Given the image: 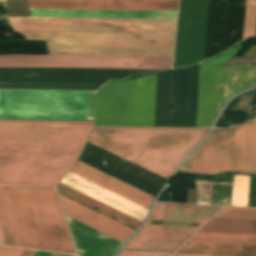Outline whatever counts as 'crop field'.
<instances>
[{"instance_id":"crop-field-1","label":"crop field","mask_w":256,"mask_h":256,"mask_svg":"<svg viewBox=\"0 0 256 256\" xmlns=\"http://www.w3.org/2000/svg\"><path fill=\"white\" fill-rule=\"evenodd\" d=\"M199 66L109 82L96 94V125L195 127ZM256 85V66L200 65L196 127H211L226 98Z\"/></svg>"},{"instance_id":"crop-field-2","label":"crop field","mask_w":256,"mask_h":256,"mask_svg":"<svg viewBox=\"0 0 256 256\" xmlns=\"http://www.w3.org/2000/svg\"><path fill=\"white\" fill-rule=\"evenodd\" d=\"M9 18L50 54L172 56L176 20Z\"/></svg>"},{"instance_id":"crop-field-3","label":"crop field","mask_w":256,"mask_h":256,"mask_svg":"<svg viewBox=\"0 0 256 256\" xmlns=\"http://www.w3.org/2000/svg\"><path fill=\"white\" fill-rule=\"evenodd\" d=\"M92 127L0 123V184L55 186Z\"/></svg>"},{"instance_id":"crop-field-4","label":"crop field","mask_w":256,"mask_h":256,"mask_svg":"<svg viewBox=\"0 0 256 256\" xmlns=\"http://www.w3.org/2000/svg\"><path fill=\"white\" fill-rule=\"evenodd\" d=\"M172 57L0 55V67L171 68ZM162 69L0 68V82L104 84L132 74Z\"/></svg>"},{"instance_id":"crop-field-5","label":"crop field","mask_w":256,"mask_h":256,"mask_svg":"<svg viewBox=\"0 0 256 256\" xmlns=\"http://www.w3.org/2000/svg\"><path fill=\"white\" fill-rule=\"evenodd\" d=\"M207 133L93 129L88 142L166 180Z\"/></svg>"},{"instance_id":"crop-field-6","label":"crop field","mask_w":256,"mask_h":256,"mask_svg":"<svg viewBox=\"0 0 256 256\" xmlns=\"http://www.w3.org/2000/svg\"><path fill=\"white\" fill-rule=\"evenodd\" d=\"M3 187L23 247L76 254L54 188Z\"/></svg>"},{"instance_id":"crop-field-7","label":"crop field","mask_w":256,"mask_h":256,"mask_svg":"<svg viewBox=\"0 0 256 256\" xmlns=\"http://www.w3.org/2000/svg\"><path fill=\"white\" fill-rule=\"evenodd\" d=\"M179 170L211 175L231 171L256 174V119L231 129H214Z\"/></svg>"},{"instance_id":"crop-field-8","label":"crop field","mask_w":256,"mask_h":256,"mask_svg":"<svg viewBox=\"0 0 256 256\" xmlns=\"http://www.w3.org/2000/svg\"><path fill=\"white\" fill-rule=\"evenodd\" d=\"M94 92L0 90V119L93 121Z\"/></svg>"},{"instance_id":"crop-field-9","label":"crop field","mask_w":256,"mask_h":256,"mask_svg":"<svg viewBox=\"0 0 256 256\" xmlns=\"http://www.w3.org/2000/svg\"><path fill=\"white\" fill-rule=\"evenodd\" d=\"M30 8L177 11L178 0H29ZM31 17L176 19L177 12L30 9Z\"/></svg>"},{"instance_id":"crop-field-10","label":"crop field","mask_w":256,"mask_h":256,"mask_svg":"<svg viewBox=\"0 0 256 256\" xmlns=\"http://www.w3.org/2000/svg\"><path fill=\"white\" fill-rule=\"evenodd\" d=\"M208 6L209 0H180L174 68L203 60Z\"/></svg>"},{"instance_id":"crop-field-11","label":"crop field","mask_w":256,"mask_h":256,"mask_svg":"<svg viewBox=\"0 0 256 256\" xmlns=\"http://www.w3.org/2000/svg\"><path fill=\"white\" fill-rule=\"evenodd\" d=\"M218 211L155 206L144 226L199 229Z\"/></svg>"},{"instance_id":"crop-field-12","label":"crop field","mask_w":256,"mask_h":256,"mask_svg":"<svg viewBox=\"0 0 256 256\" xmlns=\"http://www.w3.org/2000/svg\"><path fill=\"white\" fill-rule=\"evenodd\" d=\"M61 183L88 195L114 209H117L141 222H143L147 209L128 201L110 191H107L91 182H88L70 172L62 179Z\"/></svg>"},{"instance_id":"crop-field-13","label":"crop field","mask_w":256,"mask_h":256,"mask_svg":"<svg viewBox=\"0 0 256 256\" xmlns=\"http://www.w3.org/2000/svg\"><path fill=\"white\" fill-rule=\"evenodd\" d=\"M67 219L77 253L81 256H115L122 246V243L68 216Z\"/></svg>"},{"instance_id":"crop-field-14","label":"crop field","mask_w":256,"mask_h":256,"mask_svg":"<svg viewBox=\"0 0 256 256\" xmlns=\"http://www.w3.org/2000/svg\"><path fill=\"white\" fill-rule=\"evenodd\" d=\"M196 231L142 227L125 248L175 251Z\"/></svg>"},{"instance_id":"crop-field-15","label":"crop field","mask_w":256,"mask_h":256,"mask_svg":"<svg viewBox=\"0 0 256 256\" xmlns=\"http://www.w3.org/2000/svg\"><path fill=\"white\" fill-rule=\"evenodd\" d=\"M70 172L89 180L107 190H110L126 199H129L149 209L154 197L135 189L119 180H116L98 170H95L79 161L71 168Z\"/></svg>"},{"instance_id":"crop-field-16","label":"crop field","mask_w":256,"mask_h":256,"mask_svg":"<svg viewBox=\"0 0 256 256\" xmlns=\"http://www.w3.org/2000/svg\"><path fill=\"white\" fill-rule=\"evenodd\" d=\"M60 196V195H59ZM65 213L121 242L130 236L133 230L95 213L79 204L60 196Z\"/></svg>"},{"instance_id":"crop-field-17","label":"crop field","mask_w":256,"mask_h":256,"mask_svg":"<svg viewBox=\"0 0 256 256\" xmlns=\"http://www.w3.org/2000/svg\"><path fill=\"white\" fill-rule=\"evenodd\" d=\"M58 193L76 203H79L95 212H98L114 221H117L133 230L138 228L141 222L114 210L88 196H85L61 183L57 186Z\"/></svg>"},{"instance_id":"crop-field-18","label":"crop field","mask_w":256,"mask_h":256,"mask_svg":"<svg viewBox=\"0 0 256 256\" xmlns=\"http://www.w3.org/2000/svg\"><path fill=\"white\" fill-rule=\"evenodd\" d=\"M176 253L220 256H256V246L187 242Z\"/></svg>"},{"instance_id":"crop-field-19","label":"crop field","mask_w":256,"mask_h":256,"mask_svg":"<svg viewBox=\"0 0 256 256\" xmlns=\"http://www.w3.org/2000/svg\"><path fill=\"white\" fill-rule=\"evenodd\" d=\"M210 184L232 185L194 181L196 203L209 204ZM232 186L211 185L210 204L230 205Z\"/></svg>"},{"instance_id":"crop-field-20","label":"crop field","mask_w":256,"mask_h":256,"mask_svg":"<svg viewBox=\"0 0 256 256\" xmlns=\"http://www.w3.org/2000/svg\"><path fill=\"white\" fill-rule=\"evenodd\" d=\"M199 231L256 235V220L213 218Z\"/></svg>"},{"instance_id":"crop-field-21","label":"crop field","mask_w":256,"mask_h":256,"mask_svg":"<svg viewBox=\"0 0 256 256\" xmlns=\"http://www.w3.org/2000/svg\"><path fill=\"white\" fill-rule=\"evenodd\" d=\"M0 234L4 245L22 247L2 186H0Z\"/></svg>"},{"instance_id":"crop-field-22","label":"crop field","mask_w":256,"mask_h":256,"mask_svg":"<svg viewBox=\"0 0 256 256\" xmlns=\"http://www.w3.org/2000/svg\"><path fill=\"white\" fill-rule=\"evenodd\" d=\"M189 241L256 245V236L197 232Z\"/></svg>"},{"instance_id":"crop-field-23","label":"crop field","mask_w":256,"mask_h":256,"mask_svg":"<svg viewBox=\"0 0 256 256\" xmlns=\"http://www.w3.org/2000/svg\"><path fill=\"white\" fill-rule=\"evenodd\" d=\"M249 176L234 175L231 205L247 206Z\"/></svg>"},{"instance_id":"crop-field-24","label":"crop field","mask_w":256,"mask_h":256,"mask_svg":"<svg viewBox=\"0 0 256 256\" xmlns=\"http://www.w3.org/2000/svg\"><path fill=\"white\" fill-rule=\"evenodd\" d=\"M256 31V0H247L243 40Z\"/></svg>"},{"instance_id":"crop-field-25","label":"crop field","mask_w":256,"mask_h":256,"mask_svg":"<svg viewBox=\"0 0 256 256\" xmlns=\"http://www.w3.org/2000/svg\"><path fill=\"white\" fill-rule=\"evenodd\" d=\"M215 217L256 219V209L224 207Z\"/></svg>"},{"instance_id":"crop-field-26","label":"crop field","mask_w":256,"mask_h":256,"mask_svg":"<svg viewBox=\"0 0 256 256\" xmlns=\"http://www.w3.org/2000/svg\"><path fill=\"white\" fill-rule=\"evenodd\" d=\"M102 130L208 132L209 129L97 127Z\"/></svg>"},{"instance_id":"crop-field-27","label":"crop field","mask_w":256,"mask_h":256,"mask_svg":"<svg viewBox=\"0 0 256 256\" xmlns=\"http://www.w3.org/2000/svg\"><path fill=\"white\" fill-rule=\"evenodd\" d=\"M4 123H40V124H75V125H93V122H41V121H15V120H0Z\"/></svg>"},{"instance_id":"crop-field-28","label":"crop field","mask_w":256,"mask_h":256,"mask_svg":"<svg viewBox=\"0 0 256 256\" xmlns=\"http://www.w3.org/2000/svg\"><path fill=\"white\" fill-rule=\"evenodd\" d=\"M233 64H256V55H245L242 58H234L223 65H233Z\"/></svg>"},{"instance_id":"crop-field-29","label":"crop field","mask_w":256,"mask_h":256,"mask_svg":"<svg viewBox=\"0 0 256 256\" xmlns=\"http://www.w3.org/2000/svg\"><path fill=\"white\" fill-rule=\"evenodd\" d=\"M248 206L256 207V176H250Z\"/></svg>"},{"instance_id":"crop-field-30","label":"crop field","mask_w":256,"mask_h":256,"mask_svg":"<svg viewBox=\"0 0 256 256\" xmlns=\"http://www.w3.org/2000/svg\"><path fill=\"white\" fill-rule=\"evenodd\" d=\"M244 44L240 45L239 47H237L236 49H234L233 51H231L230 53L222 56V57H219L217 59H214V60H211L209 62H206V64H213V65H218L230 58H232L242 47H243Z\"/></svg>"},{"instance_id":"crop-field-31","label":"crop field","mask_w":256,"mask_h":256,"mask_svg":"<svg viewBox=\"0 0 256 256\" xmlns=\"http://www.w3.org/2000/svg\"><path fill=\"white\" fill-rule=\"evenodd\" d=\"M171 254L164 253H147V252H131V251H122L120 256H170Z\"/></svg>"},{"instance_id":"crop-field-32","label":"crop field","mask_w":256,"mask_h":256,"mask_svg":"<svg viewBox=\"0 0 256 256\" xmlns=\"http://www.w3.org/2000/svg\"><path fill=\"white\" fill-rule=\"evenodd\" d=\"M23 250L0 247V256H19Z\"/></svg>"},{"instance_id":"crop-field-33","label":"crop field","mask_w":256,"mask_h":256,"mask_svg":"<svg viewBox=\"0 0 256 256\" xmlns=\"http://www.w3.org/2000/svg\"><path fill=\"white\" fill-rule=\"evenodd\" d=\"M156 205L221 209V207H214V206H198V205H181V204H165V203H156Z\"/></svg>"},{"instance_id":"crop-field-34","label":"crop field","mask_w":256,"mask_h":256,"mask_svg":"<svg viewBox=\"0 0 256 256\" xmlns=\"http://www.w3.org/2000/svg\"><path fill=\"white\" fill-rule=\"evenodd\" d=\"M36 251L24 250L20 256H33Z\"/></svg>"},{"instance_id":"crop-field-35","label":"crop field","mask_w":256,"mask_h":256,"mask_svg":"<svg viewBox=\"0 0 256 256\" xmlns=\"http://www.w3.org/2000/svg\"><path fill=\"white\" fill-rule=\"evenodd\" d=\"M50 254H51V253H49V252L37 251L34 256H50Z\"/></svg>"},{"instance_id":"crop-field-36","label":"crop field","mask_w":256,"mask_h":256,"mask_svg":"<svg viewBox=\"0 0 256 256\" xmlns=\"http://www.w3.org/2000/svg\"><path fill=\"white\" fill-rule=\"evenodd\" d=\"M51 256H71V255L52 253Z\"/></svg>"},{"instance_id":"crop-field-37","label":"crop field","mask_w":256,"mask_h":256,"mask_svg":"<svg viewBox=\"0 0 256 256\" xmlns=\"http://www.w3.org/2000/svg\"><path fill=\"white\" fill-rule=\"evenodd\" d=\"M173 256H201V255H183V254H174Z\"/></svg>"},{"instance_id":"crop-field-38","label":"crop field","mask_w":256,"mask_h":256,"mask_svg":"<svg viewBox=\"0 0 256 256\" xmlns=\"http://www.w3.org/2000/svg\"><path fill=\"white\" fill-rule=\"evenodd\" d=\"M0 245H3V244H2V241H1V238H0Z\"/></svg>"},{"instance_id":"crop-field-39","label":"crop field","mask_w":256,"mask_h":256,"mask_svg":"<svg viewBox=\"0 0 256 256\" xmlns=\"http://www.w3.org/2000/svg\"><path fill=\"white\" fill-rule=\"evenodd\" d=\"M0 1H4V0H0Z\"/></svg>"},{"instance_id":"crop-field-40","label":"crop field","mask_w":256,"mask_h":256,"mask_svg":"<svg viewBox=\"0 0 256 256\" xmlns=\"http://www.w3.org/2000/svg\"><path fill=\"white\" fill-rule=\"evenodd\" d=\"M72 256H75V255H72Z\"/></svg>"}]
</instances>
